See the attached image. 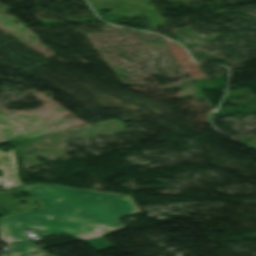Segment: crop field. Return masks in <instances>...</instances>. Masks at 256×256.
Segmentation results:
<instances>
[{"label":"crop field","instance_id":"8a807250","mask_svg":"<svg viewBox=\"0 0 256 256\" xmlns=\"http://www.w3.org/2000/svg\"><path fill=\"white\" fill-rule=\"evenodd\" d=\"M25 188L43 209L0 217L2 241L25 238L23 228L45 235L67 232L83 240L124 228L117 217L139 212L127 195L44 184Z\"/></svg>","mask_w":256,"mask_h":256},{"label":"crop field","instance_id":"ac0d7876","mask_svg":"<svg viewBox=\"0 0 256 256\" xmlns=\"http://www.w3.org/2000/svg\"><path fill=\"white\" fill-rule=\"evenodd\" d=\"M0 169L3 172L0 184L5 189L22 185L16 172L13 150H8L6 153L0 150Z\"/></svg>","mask_w":256,"mask_h":256},{"label":"crop field","instance_id":"34b2d1b8","mask_svg":"<svg viewBox=\"0 0 256 256\" xmlns=\"http://www.w3.org/2000/svg\"><path fill=\"white\" fill-rule=\"evenodd\" d=\"M8 247H9V256L18 254V253H25L29 251H34L38 250L34 244H32L30 241L26 240H21L19 242L12 241V242H7Z\"/></svg>","mask_w":256,"mask_h":256},{"label":"crop field","instance_id":"412701ff","mask_svg":"<svg viewBox=\"0 0 256 256\" xmlns=\"http://www.w3.org/2000/svg\"><path fill=\"white\" fill-rule=\"evenodd\" d=\"M88 242L93 248H95L97 251L107 248L109 246H112L106 239H104L102 236L93 238V239H87L85 240Z\"/></svg>","mask_w":256,"mask_h":256},{"label":"crop field","instance_id":"f4fd0767","mask_svg":"<svg viewBox=\"0 0 256 256\" xmlns=\"http://www.w3.org/2000/svg\"><path fill=\"white\" fill-rule=\"evenodd\" d=\"M23 256H51L41 250L22 254Z\"/></svg>","mask_w":256,"mask_h":256},{"label":"crop field","instance_id":"dd49c442","mask_svg":"<svg viewBox=\"0 0 256 256\" xmlns=\"http://www.w3.org/2000/svg\"><path fill=\"white\" fill-rule=\"evenodd\" d=\"M15 256H21V255L19 254V255H15Z\"/></svg>","mask_w":256,"mask_h":256}]
</instances>
